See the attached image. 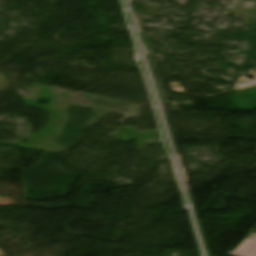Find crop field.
Segmentation results:
<instances>
[{
	"label": "crop field",
	"mask_w": 256,
	"mask_h": 256,
	"mask_svg": "<svg viewBox=\"0 0 256 256\" xmlns=\"http://www.w3.org/2000/svg\"><path fill=\"white\" fill-rule=\"evenodd\" d=\"M232 255L256 256V233H253Z\"/></svg>",
	"instance_id": "obj_1"
},
{
	"label": "crop field",
	"mask_w": 256,
	"mask_h": 256,
	"mask_svg": "<svg viewBox=\"0 0 256 256\" xmlns=\"http://www.w3.org/2000/svg\"><path fill=\"white\" fill-rule=\"evenodd\" d=\"M0 256H5V253L0 249Z\"/></svg>",
	"instance_id": "obj_2"
}]
</instances>
